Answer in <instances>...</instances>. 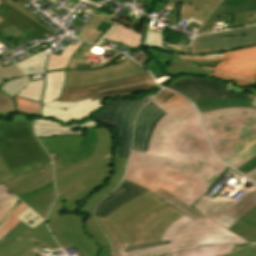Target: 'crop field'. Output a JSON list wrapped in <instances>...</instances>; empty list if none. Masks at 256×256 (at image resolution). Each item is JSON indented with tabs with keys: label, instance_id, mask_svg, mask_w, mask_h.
Masks as SVG:
<instances>
[{
	"label": "crop field",
	"instance_id": "crop-field-27",
	"mask_svg": "<svg viewBox=\"0 0 256 256\" xmlns=\"http://www.w3.org/2000/svg\"><path fill=\"white\" fill-rule=\"evenodd\" d=\"M252 100L253 99H239V98L204 99V100L193 101V103L196 105L200 113H203L211 110L228 108V107L256 108V107L250 106Z\"/></svg>",
	"mask_w": 256,
	"mask_h": 256
},
{
	"label": "crop field",
	"instance_id": "crop-field-59",
	"mask_svg": "<svg viewBox=\"0 0 256 256\" xmlns=\"http://www.w3.org/2000/svg\"><path fill=\"white\" fill-rule=\"evenodd\" d=\"M255 167H256V157H254L252 160H250L249 162H247L246 164H244L242 167H240L237 170H239L240 172L245 174Z\"/></svg>",
	"mask_w": 256,
	"mask_h": 256
},
{
	"label": "crop field",
	"instance_id": "crop-field-56",
	"mask_svg": "<svg viewBox=\"0 0 256 256\" xmlns=\"http://www.w3.org/2000/svg\"><path fill=\"white\" fill-rule=\"evenodd\" d=\"M217 17L208 18L197 33L209 32L212 30Z\"/></svg>",
	"mask_w": 256,
	"mask_h": 256
},
{
	"label": "crop field",
	"instance_id": "crop-field-15",
	"mask_svg": "<svg viewBox=\"0 0 256 256\" xmlns=\"http://www.w3.org/2000/svg\"><path fill=\"white\" fill-rule=\"evenodd\" d=\"M47 105L50 108H47ZM103 109L102 102L92 101L90 98L85 101L63 103L54 101L43 104L42 117L54 119L65 125L72 121L79 122L93 113Z\"/></svg>",
	"mask_w": 256,
	"mask_h": 256
},
{
	"label": "crop field",
	"instance_id": "crop-field-49",
	"mask_svg": "<svg viewBox=\"0 0 256 256\" xmlns=\"http://www.w3.org/2000/svg\"><path fill=\"white\" fill-rule=\"evenodd\" d=\"M221 0H197L196 10L212 11Z\"/></svg>",
	"mask_w": 256,
	"mask_h": 256
},
{
	"label": "crop field",
	"instance_id": "crop-field-62",
	"mask_svg": "<svg viewBox=\"0 0 256 256\" xmlns=\"http://www.w3.org/2000/svg\"><path fill=\"white\" fill-rule=\"evenodd\" d=\"M38 250H37V246L34 248H31L25 252H23L21 255L19 256H36L38 254Z\"/></svg>",
	"mask_w": 256,
	"mask_h": 256
},
{
	"label": "crop field",
	"instance_id": "crop-field-40",
	"mask_svg": "<svg viewBox=\"0 0 256 256\" xmlns=\"http://www.w3.org/2000/svg\"><path fill=\"white\" fill-rule=\"evenodd\" d=\"M256 225V207L249 212L243 219L237 222L230 230L235 232L237 235H242L243 233L250 230Z\"/></svg>",
	"mask_w": 256,
	"mask_h": 256
},
{
	"label": "crop field",
	"instance_id": "crop-field-41",
	"mask_svg": "<svg viewBox=\"0 0 256 256\" xmlns=\"http://www.w3.org/2000/svg\"><path fill=\"white\" fill-rule=\"evenodd\" d=\"M14 99L17 104V111L28 114L40 115V103L21 99L16 96H14Z\"/></svg>",
	"mask_w": 256,
	"mask_h": 256
},
{
	"label": "crop field",
	"instance_id": "crop-field-14",
	"mask_svg": "<svg viewBox=\"0 0 256 256\" xmlns=\"http://www.w3.org/2000/svg\"><path fill=\"white\" fill-rule=\"evenodd\" d=\"M219 59H222V61L215 68L206 66L202 67L228 76L256 80V46L223 52V58Z\"/></svg>",
	"mask_w": 256,
	"mask_h": 256
},
{
	"label": "crop field",
	"instance_id": "crop-field-6",
	"mask_svg": "<svg viewBox=\"0 0 256 256\" xmlns=\"http://www.w3.org/2000/svg\"><path fill=\"white\" fill-rule=\"evenodd\" d=\"M168 205L149 190L127 202L106 217L97 221L107 237L118 235L123 246L132 245V233L139 220L149 213Z\"/></svg>",
	"mask_w": 256,
	"mask_h": 256
},
{
	"label": "crop field",
	"instance_id": "crop-field-5",
	"mask_svg": "<svg viewBox=\"0 0 256 256\" xmlns=\"http://www.w3.org/2000/svg\"><path fill=\"white\" fill-rule=\"evenodd\" d=\"M151 102L167 114L158 120L146 152L179 157L176 143L188 129L179 121L196 112L184 97L163 89Z\"/></svg>",
	"mask_w": 256,
	"mask_h": 256
},
{
	"label": "crop field",
	"instance_id": "crop-field-9",
	"mask_svg": "<svg viewBox=\"0 0 256 256\" xmlns=\"http://www.w3.org/2000/svg\"><path fill=\"white\" fill-rule=\"evenodd\" d=\"M244 180L250 182L246 178ZM239 191L244 194L236 201L228 197L224 198L220 195H217L214 199L203 196L193 207L229 229L256 206L255 184L249 189L241 187Z\"/></svg>",
	"mask_w": 256,
	"mask_h": 256
},
{
	"label": "crop field",
	"instance_id": "crop-field-30",
	"mask_svg": "<svg viewBox=\"0 0 256 256\" xmlns=\"http://www.w3.org/2000/svg\"><path fill=\"white\" fill-rule=\"evenodd\" d=\"M143 36L132 31L131 29L119 25L113 33L108 37V39L121 42L131 48L140 47L143 41Z\"/></svg>",
	"mask_w": 256,
	"mask_h": 256
},
{
	"label": "crop field",
	"instance_id": "crop-field-11",
	"mask_svg": "<svg viewBox=\"0 0 256 256\" xmlns=\"http://www.w3.org/2000/svg\"><path fill=\"white\" fill-rule=\"evenodd\" d=\"M160 189L155 193L156 196L162 198L167 203L173 205L175 208L186 214L184 217L175 221L170 227H168L166 232L164 233L162 241L171 240V244L124 253V256H146L161 251L176 250L178 249L181 235L188 228L194 226L197 223L208 220L206 217L198 213L190 206L186 205L177 198Z\"/></svg>",
	"mask_w": 256,
	"mask_h": 256
},
{
	"label": "crop field",
	"instance_id": "crop-field-38",
	"mask_svg": "<svg viewBox=\"0 0 256 256\" xmlns=\"http://www.w3.org/2000/svg\"><path fill=\"white\" fill-rule=\"evenodd\" d=\"M84 223H85V229L87 231V234L93 240H95L99 244L100 247L110 246L106 236L103 234V232L98 227L93 214H91L89 216V218Z\"/></svg>",
	"mask_w": 256,
	"mask_h": 256
},
{
	"label": "crop field",
	"instance_id": "crop-field-34",
	"mask_svg": "<svg viewBox=\"0 0 256 256\" xmlns=\"http://www.w3.org/2000/svg\"><path fill=\"white\" fill-rule=\"evenodd\" d=\"M234 245L221 244L208 247L194 248L182 250L178 252V256H218L226 252L232 251Z\"/></svg>",
	"mask_w": 256,
	"mask_h": 256
},
{
	"label": "crop field",
	"instance_id": "crop-field-25",
	"mask_svg": "<svg viewBox=\"0 0 256 256\" xmlns=\"http://www.w3.org/2000/svg\"><path fill=\"white\" fill-rule=\"evenodd\" d=\"M96 147L95 127L87 129L81 148L74 154L53 163L54 172L73 165L75 162L89 156Z\"/></svg>",
	"mask_w": 256,
	"mask_h": 256
},
{
	"label": "crop field",
	"instance_id": "crop-field-2",
	"mask_svg": "<svg viewBox=\"0 0 256 256\" xmlns=\"http://www.w3.org/2000/svg\"><path fill=\"white\" fill-rule=\"evenodd\" d=\"M180 122L189 128L177 143L180 158L132 151L123 179L192 206L228 166L212 154L197 112Z\"/></svg>",
	"mask_w": 256,
	"mask_h": 256
},
{
	"label": "crop field",
	"instance_id": "crop-field-12",
	"mask_svg": "<svg viewBox=\"0 0 256 256\" xmlns=\"http://www.w3.org/2000/svg\"><path fill=\"white\" fill-rule=\"evenodd\" d=\"M256 45V26L199 35L195 38L190 54L209 53L246 48Z\"/></svg>",
	"mask_w": 256,
	"mask_h": 256
},
{
	"label": "crop field",
	"instance_id": "crop-field-24",
	"mask_svg": "<svg viewBox=\"0 0 256 256\" xmlns=\"http://www.w3.org/2000/svg\"><path fill=\"white\" fill-rule=\"evenodd\" d=\"M210 73V71L204 70L202 68L193 66L185 61L178 59L175 57L171 60L168 65L167 75L175 76V80L171 81L168 86L169 88L176 81L186 78H206V76Z\"/></svg>",
	"mask_w": 256,
	"mask_h": 256
},
{
	"label": "crop field",
	"instance_id": "crop-field-47",
	"mask_svg": "<svg viewBox=\"0 0 256 256\" xmlns=\"http://www.w3.org/2000/svg\"><path fill=\"white\" fill-rule=\"evenodd\" d=\"M31 227L27 226L24 223H20L14 230H12L2 241H0V245H3L5 243H8L10 241H13L17 239L18 237L22 236L23 234L30 231Z\"/></svg>",
	"mask_w": 256,
	"mask_h": 256
},
{
	"label": "crop field",
	"instance_id": "crop-field-58",
	"mask_svg": "<svg viewBox=\"0 0 256 256\" xmlns=\"http://www.w3.org/2000/svg\"><path fill=\"white\" fill-rule=\"evenodd\" d=\"M7 3H9L10 5H12L13 7H15L16 9L20 10L21 12H23L24 14H26L27 16H29L30 18H32L33 20H35L36 22H38L40 25H42L43 27H45L43 24H41L36 18H34L27 10H25L23 7L17 5L16 3H14L11 0H4ZM46 28V27H45ZM47 29V28H46ZM48 30V29H47ZM50 31V30H49ZM51 32V31H50ZM53 33V32H52ZM54 34V33H53ZM55 35V34H54ZM57 36V35H56Z\"/></svg>",
	"mask_w": 256,
	"mask_h": 256
},
{
	"label": "crop field",
	"instance_id": "crop-field-29",
	"mask_svg": "<svg viewBox=\"0 0 256 256\" xmlns=\"http://www.w3.org/2000/svg\"><path fill=\"white\" fill-rule=\"evenodd\" d=\"M64 80V70L46 73L43 103L59 97Z\"/></svg>",
	"mask_w": 256,
	"mask_h": 256
},
{
	"label": "crop field",
	"instance_id": "crop-field-69",
	"mask_svg": "<svg viewBox=\"0 0 256 256\" xmlns=\"http://www.w3.org/2000/svg\"><path fill=\"white\" fill-rule=\"evenodd\" d=\"M231 172L234 173V177H235V178L238 179V178L241 177V176H240L238 173H236L234 170H231Z\"/></svg>",
	"mask_w": 256,
	"mask_h": 256
},
{
	"label": "crop field",
	"instance_id": "crop-field-57",
	"mask_svg": "<svg viewBox=\"0 0 256 256\" xmlns=\"http://www.w3.org/2000/svg\"><path fill=\"white\" fill-rule=\"evenodd\" d=\"M232 85H233L232 82L228 83L225 90L236 91V92H246V93H252V94L256 95V88H253V89H241L239 87H234Z\"/></svg>",
	"mask_w": 256,
	"mask_h": 256
},
{
	"label": "crop field",
	"instance_id": "crop-field-52",
	"mask_svg": "<svg viewBox=\"0 0 256 256\" xmlns=\"http://www.w3.org/2000/svg\"><path fill=\"white\" fill-rule=\"evenodd\" d=\"M223 256H256V245L249 246Z\"/></svg>",
	"mask_w": 256,
	"mask_h": 256
},
{
	"label": "crop field",
	"instance_id": "crop-field-44",
	"mask_svg": "<svg viewBox=\"0 0 256 256\" xmlns=\"http://www.w3.org/2000/svg\"><path fill=\"white\" fill-rule=\"evenodd\" d=\"M162 35L163 33H161V31L147 30L142 46H154L167 49L163 44Z\"/></svg>",
	"mask_w": 256,
	"mask_h": 256
},
{
	"label": "crop field",
	"instance_id": "crop-field-71",
	"mask_svg": "<svg viewBox=\"0 0 256 256\" xmlns=\"http://www.w3.org/2000/svg\"><path fill=\"white\" fill-rule=\"evenodd\" d=\"M2 2V0H0V3ZM2 20H4V19H2L1 17H0V21H2Z\"/></svg>",
	"mask_w": 256,
	"mask_h": 256
},
{
	"label": "crop field",
	"instance_id": "crop-field-36",
	"mask_svg": "<svg viewBox=\"0 0 256 256\" xmlns=\"http://www.w3.org/2000/svg\"><path fill=\"white\" fill-rule=\"evenodd\" d=\"M36 244L45 245L51 249L59 248L54 239L52 238L45 222L28 232ZM36 234V236H34Z\"/></svg>",
	"mask_w": 256,
	"mask_h": 256
},
{
	"label": "crop field",
	"instance_id": "crop-field-64",
	"mask_svg": "<svg viewBox=\"0 0 256 256\" xmlns=\"http://www.w3.org/2000/svg\"><path fill=\"white\" fill-rule=\"evenodd\" d=\"M167 2L185 3V4H196V0H167Z\"/></svg>",
	"mask_w": 256,
	"mask_h": 256
},
{
	"label": "crop field",
	"instance_id": "crop-field-43",
	"mask_svg": "<svg viewBox=\"0 0 256 256\" xmlns=\"http://www.w3.org/2000/svg\"><path fill=\"white\" fill-rule=\"evenodd\" d=\"M256 24V10L234 14V28Z\"/></svg>",
	"mask_w": 256,
	"mask_h": 256
},
{
	"label": "crop field",
	"instance_id": "crop-field-37",
	"mask_svg": "<svg viewBox=\"0 0 256 256\" xmlns=\"http://www.w3.org/2000/svg\"><path fill=\"white\" fill-rule=\"evenodd\" d=\"M20 201L6 186L0 185V222L6 213Z\"/></svg>",
	"mask_w": 256,
	"mask_h": 256
},
{
	"label": "crop field",
	"instance_id": "crop-field-67",
	"mask_svg": "<svg viewBox=\"0 0 256 256\" xmlns=\"http://www.w3.org/2000/svg\"><path fill=\"white\" fill-rule=\"evenodd\" d=\"M162 4L166 5L165 2H158V1H156L155 10H154L155 13L158 12V10L160 9V7H161Z\"/></svg>",
	"mask_w": 256,
	"mask_h": 256
},
{
	"label": "crop field",
	"instance_id": "crop-field-39",
	"mask_svg": "<svg viewBox=\"0 0 256 256\" xmlns=\"http://www.w3.org/2000/svg\"><path fill=\"white\" fill-rule=\"evenodd\" d=\"M44 79L31 81L20 92L16 94L21 98L40 102Z\"/></svg>",
	"mask_w": 256,
	"mask_h": 256
},
{
	"label": "crop field",
	"instance_id": "crop-field-45",
	"mask_svg": "<svg viewBox=\"0 0 256 256\" xmlns=\"http://www.w3.org/2000/svg\"><path fill=\"white\" fill-rule=\"evenodd\" d=\"M16 218H18L19 220H21L22 222L28 224L33 228L39 225L40 223H42V221H44L29 207L26 210H24L20 215H18Z\"/></svg>",
	"mask_w": 256,
	"mask_h": 256
},
{
	"label": "crop field",
	"instance_id": "crop-field-33",
	"mask_svg": "<svg viewBox=\"0 0 256 256\" xmlns=\"http://www.w3.org/2000/svg\"><path fill=\"white\" fill-rule=\"evenodd\" d=\"M82 44L78 41L75 46L69 45L60 56L50 54L46 72L66 69L68 61Z\"/></svg>",
	"mask_w": 256,
	"mask_h": 256
},
{
	"label": "crop field",
	"instance_id": "crop-field-20",
	"mask_svg": "<svg viewBox=\"0 0 256 256\" xmlns=\"http://www.w3.org/2000/svg\"><path fill=\"white\" fill-rule=\"evenodd\" d=\"M146 191L147 189L141 186L123 180L121 186L117 190L100 202L95 209V215L104 217L122 204Z\"/></svg>",
	"mask_w": 256,
	"mask_h": 256
},
{
	"label": "crop field",
	"instance_id": "crop-field-70",
	"mask_svg": "<svg viewBox=\"0 0 256 256\" xmlns=\"http://www.w3.org/2000/svg\"><path fill=\"white\" fill-rule=\"evenodd\" d=\"M190 26H193V27H197V28H199V26H200V24H197V23H190Z\"/></svg>",
	"mask_w": 256,
	"mask_h": 256
},
{
	"label": "crop field",
	"instance_id": "crop-field-28",
	"mask_svg": "<svg viewBox=\"0 0 256 256\" xmlns=\"http://www.w3.org/2000/svg\"><path fill=\"white\" fill-rule=\"evenodd\" d=\"M256 9V0H223L209 17Z\"/></svg>",
	"mask_w": 256,
	"mask_h": 256
},
{
	"label": "crop field",
	"instance_id": "crop-field-46",
	"mask_svg": "<svg viewBox=\"0 0 256 256\" xmlns=\"http://www.w3.org/2000/svg\"><path fill=\"white\" fill-rule=\"evenodd\" d=\"M173 208L171 205H168L162 209H159L151 214H149L148 216H146L144 219H142L141 221L138 222V224L136 225L135 227V230H134V234H133V245H136V244H139V233L143 227V225L148 221L150 220L151 218H153L154 216H156L157 214L161 213V212H164L168 209H171Z\"/></svg>",
	"mask_w": 256,
	"mask_h": 256
},
{
	"label": "crop field",
	"instance_id": "crop-field-16",
	"mask_svg": "<svg viewBox=\"0 0 256 256\" xmlns=\"http://www.w3.org/2000/svg\"><path fill=\"white\" fill-rule=\"evenodd\" d=\"M225 86V84L214 79H186L176 82L170 89L182 93L191 100L203 98L254 97L252 94L224 91Z\"/></svg>",
	"mask_w": 256,
	"mask_h": 256
},
{
	"label": "crop field",
	"instance_id": "crop-field-54",
	"mask_svg": "<svg viewBox=\"0 0 256 256\" xmlns=\"http://www.w3.org/2000/svg\"><path fill=\"white\" fill-rule=\"evenodd\" d=\"M179 57H185V58H219L222 57V52L218 53H209V54H198V55H183V54H177Z\"/></svg>",
	"mask_w": 256,
	"mask_h": 256
},
{
	"label": "crop field",
	"instance_id": "crop-field-66",
	"mask_svg": "<svg viewBox=\"0 0 256 256\" xmlns=\"http://www.w3.org/2000/svg\"><path fill=\"white\" fill-rule=\"evenodd\" d=\"M246 175L256 181V168L247 173Z\"/></svg>",
	"mask_w": 256,
	"mask_h": 256
},
{
	"label": "crop field",
	"instance_id": "crop-field-32",
	"mask_svg": "<svg viewBox=\"0 0 256 256\" xmlns=\"http://www.w3.org/2000/svg\"><path fill=\"white\" fill-rule=\"evenodd\" d=\"M47 57V54L41 52L33 57H29L25 60H22L14 65L18 67L26 75L44 72Z\"/></svg>",
	"mask_w": 256,
	"mask_h": 256
},
{
	"label": "crop field",
	"instance_id": "crop-field-50",
	"mask_svg": "<svg viewBox=\"0 0 256 256\" xmlns=\"http://www.w3.org/2000/svg\"><path fill=\"white\" fill-rule=\"evenodd\" d=\"M209 76L219 78V79H222L224 81L235 80L236 84L238 86H253V85H256V82L234 79V78H230V77H227V76L215 73V72H211Z\"/></svg>",
	"mask_w": 256,
	"mask_h": 256
},
{
	"label": "crop field",
	"instance_id": "crop-field-1",
	"mask_svg": "<svg viewBox=\"0 0 256 256\" xmlns=\"http://www.w3.org/2000/svg\"><path fill=\"white\" fill-rule=\"evenodd\" d=\"M96 135L97 148L92 155L54 173L57 198L46 221L62 249L74 247L81 256H98V244L86 234L82 216H59L58 213L65 209H93L121 183L127 164V159L117 158L118 146L113 149L110 130L96 129Z\"/></svg>",
	"mask_w": 256,
	"mask_h": 256
},
{
	"label": "crop field",
	"instance_id": "crop-field-21",
	"mask_svg": "<svg viewBox=\"0 0 256 256\" xmlns=\"http://www.w3.org/2000/svg\"><path fill=\"white\" fill-rule=\"evenodd\" d=\"M0 16L5 19L4 21L0 22V30L13 24L33 38H36L47 31L38 23H36L35 21L30 19L23 13L19 12L4 1L0 4Z\"/></svg>",
	"mask_w": 256,
	"mask_h": 256
},
{
	"label": "crop field",
	"instance_id": "crop-field-53",
	"mask_svg": "<svg viewBox=\"0 0 256 256\" xmlns=\"http://www.w3.org/2000/svg\"><path fill=\"white\" fill-rule=\"evenodd\" d=\"M12 178H13V176L11 175L8 168L6 167V165L4 164L2 159L0 158V184L2 182H5V181L10 180Z\"/></svg>",
	"mask_w": 256,
	"mask_h": 256
},
{
	"label": "crop field",
	"instance_id": "crop-field-4",
	"mask_svg": "<svg viewBox=\"0 0 256 256\" xmlns=\"http://www.w3.org/2000/svg\"><path fill=\"white\" fill-rule=\"evenodd\" d=\"M24 115L11 121L0 120V156L14 178L51 163V159L32 134V122Z\"/></svg>",
	"mask_w": 256,
	"mask_h": 256
},
{
	"label": "crop field",
	"instance_id": "crop-field-8",
	"mask_svg": "<svg viewBox=\"0 0 256 256\" xmlns=\"http://www.w3.org/2000/svg\"><path fill=\"white\" fill-rule=\"evenodd\" d=\"M156 82L152 79L149 73L127 78L123 80L90 85L79 88H63L61 95L57 101L71 102L84 100L90 97L100 101H105L107 98L125 96L129 97L138 92L150 91L156 86Z\"/></svg>",
	"mask_w": 256,
	"mask_h": 256
},
{
	"label": "crop field",
	"instance_id": "crop-field-22",
	"mask_svg": "<svg viewBox=\"0 0 256 256\" xmlns=\"http://www.w3.org/2000/svg\"><path fill=\"white\" fill-rule=\"evenodd\" d=\"M183 215L185 214L173 208L151 219L140 233V244L161 241L166 228Z\"/></svg>",
	"mask_w": 256,
	"mask_h": 256
},
{
	"label": "crop field",
	"instance_id": "crop-field-26",
	"mask_svg": "<svg viewBox=\"0 0 256 256\" xmlns=\"http://www.w3.org/2000/svg\"><path fill=\"white\" fill-rule=\"evenodd\" d=\"M23 76L22 78L11 80L9 83H5L1 87V91L4 93L14 96L19 90H21L26 84H28L31 79L30 77L24 75L19 69H17L14 65L2 68L0 66V84L4 81L16 77Z\"/></svg>",
	"mask_w": 256,
	"mask_h": 256
},
{
	"label": "crop field",
	"instance_id": "crop-field-51",
	"mask_svg": "<svg viewBox=\"0 0 256 256\" xmlns=\"http://www.w3.org/2000/svg\"><path fill=\"white\" fill-rule=\"evenodd\" d=\"M108 239L112 245L113 256H122L124 248H123L118 236L110 237Z\"/></svg>",
	"mask_w": 256,
	"mask_h": 256
},
{
	"label": "crop field",
	"instance_id": "crop-field-18",
	"mask_svg": "<svg viewBox=\"0 0 256 256\" xmlns=\"http://www.w3.org/2000/svg\"><path fill=\"white\" fill-rule=\"evenodd\" d=\"M165 114L166 113H164L151 102L141 110L137 116L132 146L133 150H146L147 142L155 123Z\"/></svg>",
	"mask_w": 256,
	"mask_h": 256
},
{
	"label": "crop field",
	"instance_id": "crop-field-63",
	"mask_svg": "<svg viewBox=\"0 0 256 256\" xmlns=\"http://www.w3.org/2000/svg\"><path fill=\"white\" fill-rule=\"evenodd\" d=\"M99 256H112L110 247L100 248Z\"/></svg>",
	"mask_w": 256,
	"mask_h": 256
},
{
	"label": "crop field",
	"instance_id": "crop-field-55",
	"mask_svg": "<svg viewBox=\"0 0 256 256\" xmlns=\"http://www.w3.org/2000/svg\"><path fill=\"white\" fill-rule=\"evenodd\" d=\"M168 243H170V241L151 243V244H143V245H137V246H130V247H126L124 252L134 251V250H139V249H144V248H149V247L163 245V244H168Z\"/></svg>",
	"mask_w": 256,
	"mask_h": 256
},
{
	"label": "crop field",
	"instance_id": "crop-field-61",
	"mask_svg": "<svg viewBox=\"0 0 256 256\" xmlns=\"http://www.w3.org/2000/svg\"><path fill=\"white\" fill-rule=\"evenodd\" d=\"M241 237L247 239L250 242H256V226L247 233L243 234Z\"/></svg>",
	"mask_w": 256,
	"mask_h": 256
},
{
	"label": "crop field",
	"instance_id": "crop-field-42",
	"mask_svg": "<svg viewBox=\"0 0 256 256\" xmlns=\"http://www.w3.org/2000/svg\"><path fill=\"white\" fill-rule=\"evenodd\" d=\"M210 12L195 11V6L181 4L179 18L189 19V17H195L200 20L201 24L209 15Z\"/></svg>",
	"mask_w": 256,
	"mask_h": 256
},
{
	"label": "crop field",
	"instance_id": "crop-field-31",
	"mask_svg": "<svg viewBox=\"0 0 256 256\" xmlns=\"http://www.w3.org/2000/svg\"><path fill=\"white\" fill-rule=\"evenodd\" d=\"M36 246L28 234L23 235L17 240L0 246V256H18L24 250Z\"/></svg>",
	"mask_w": 256,
	"mask_h": 256
},
{
	"label": "crop field",
	"instance_id": "crop-field-60",
	"mask_svg": "<svg viewBox=\"0 0 256 256\" xmlns=\"http://www.w3.org/2000/svg\"><path fill=\"white\" fill-rule=\"evenodd\" d=\"M119 24L113 23L110 28L101 36V38L95 43L100 46L102 42L112 33V31L118 26Z\"/></svg>",
	"mask_w": 256,
	"mask_h": 256
},
{
	"label": "crop field",
	"instance_id": "crop-field-17",
	"mask_svg": "<svg viewBox=\"0 0 256 256\" xmlns=\"http://www.w3.org/2000/svg\"><path fill=\"white\" fill-rule=\"evenodd\" d=\"M218 242L246 241L219 224L208 220L187 230L180 240L179 249Z\"/></svg>",
	"mask_w": 256,
	"mask_h": 256
},
{
	"label": "crop field",
	"instance_id": "crop-field-13",
	"mask_svg": "<svg viewBox=\"0 0 256 256\" xmlns=\"http://www.w3.org/2000/svg\"><path fill=\"white\" fill-rule=\"evenodd\" d=\"M147 73L131 60L95 70H65L63 87H79Z\"/></svg>",
	"mask_w": 256,
	"mask_h": 256
},
{
	"label": "crop field",
	"instance_id": "crop-field-19",
	"mask_svg": "<svg viewBox=\"0 0 256 256\" xmlns=\"http://www.w3.org/2000/svg\"><path fill=\"white\" fill-rule=\"evenodd\" d=\"M93 126L99 124L90 119L84 120L82 124L72 122L65 126L50 119L40 118L34 123V134L36 137L84 135L85 130Z\"/></svg>",
	"mask_w": 256,
	"mask_h": 256
},
{
	"label": "crop field",
	"instance_id": "crop-field-3",
	"mask_svg": "<svg viewBox=\"0 0 256 256\" xmlns=\"http://www.w3.org/2000/svg\"><path fill=\"white\" fill-rule=\"evenodd\" d=\"M256 106V96L252 102ZM214 152L239 168L256 156V109L228 108L201 114Z\"/></svg>",
	"mask_w": 256,
	"mask_h": 256
},
{
	"label": "crop field",
	"instance_id": "crop-field-7",
	"mask_svg": "<svg viewBox=\"0 0 256 256\" xmlns=\"http://www.w3.org/2000/svg\"><path fill=\"white\" fill-rule=\"evenodd\" d=\"M4 184L45 219L55 197L51 164Z\"/></svg>",
	"mask_w": 256,
	"mask_h": 256
},
{
	"label": "crop field",
	"instance_id": "crop-field-10",
	"mask_svg": "<svg viewBox=\"0 0 256 256\" xmlns=\"http://www.w3.org/2000/svg\"><path fill=\"white\" fill-rule=\"evenodd\" d=\"M152 97L149 94L133 101L118 98L108 102L107 109L94 115L95 119L116 128L120 140L118 157L128 158L135 115Z\"/></svg>",
	"mask_w": 256,
	"mask_h": 256
},
{
	"label": "crop field",
	"instance_id": "crop-field-35",
	"mask_svg": "<svg viewBox=\"0 0 256 256\" xmlns=\"http://www.w3.org/2000/svg\"><path fill=\"white\" fill-rule=\"evenodd\" d=\"M27 207L28 206L21 201L7 213L4 220L2 219V223L0 222V240L3 239L12 229H14L21 222L15 217Z\"/></svg>",
	"mask_w": 256,
	"mask_h": 256
},
{
	"label": "crop field",
	"instance_id": "crop-field-72",
	"mask_svg": "<svg viewBox=\"0 0 256 256\" xmlns=\"http://www.w3.org/2000/svg\"><path fill=\"white\" fill-rule=\"evenodd\" d=\"M164 254H162V255H157V256H163Z\"/></svg>",
	"mask_w": 256,
	"mask_h": 256
},
{
	"label": "crop field",
	"instance_id": "crop-field-23",
	"mask_svg": "<svg viewBox=\"0 0 256 256\" xmlns=\"http://www.w3.org/2000/svg\"><path fill=\"white\" fill-rule=\"evenodd\" d=\"M49 152L53 162L77 151L84 136L38 138ZM78 147V148H76Z\"/></svg>",
	"mask_w": 256,
	"mask_h": 256
},
{
	"label": "crop field",
	"instance_id": "crop-field-73",
	"mask_svg": "<svg viewBox=\"0 0 256 256\" xmlns=\"http://www.w3.org/2000/svg\"><path fill=\"white\" fill-rule=\"evenodd\" d=\"M44 1V0H43Z\"/></svg>",
	"mask_w": 256,
	"mask_h": 256
},
{
	"label": "crop field",
	"instance_id": "crop-field-65",
	"mask_svg": "<svg viewBox=\"0 0 256 256\" xmlns=\"http://www.w3.org/2000/svg\"><path fill=\"white\" fill-rule=\"evenodd\" d=\"M179 7L180 4H177L171 22H178Z\"/></svg>",
	"mask_w": 256,
	"mask_h": 256
},
{
	"label": "crop field",
	"instance_id": "crop-field-48",
	"mask_svg": "<svg viewBox=\"0 0 256 256\" xmlns=\"http://www.w3.org/2000/svg\"><path fill=\"white\" fill-rule=\"evenodd\" d=\"M16 111V105L13 98L0 91V113H10Z\"/></svg>",
	"mask_w": 256,
	"mask_h": 256
},
{
	"label": "crop field",
	"instance_id": "crop-field-68",
	"mask_svg": "<svg viewBox=\"0 0 256 256\" xmlns=\"http://www.w3.org/2000/svg\"><path fill=\"white\" fill-rule=\"evenodd\" d=\"M177 252H178V251H176V252H170V253H167V254L164 255V256H177Z\"/></svg>",
	"mask_w": 256,
	"mask_h": 256
}]
</instances>
